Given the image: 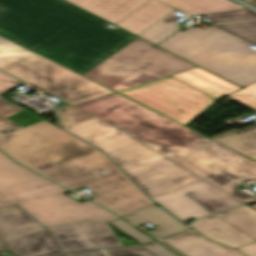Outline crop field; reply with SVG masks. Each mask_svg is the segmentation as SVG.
I'll use <instances>...</instances> for the list:
<instances>
[{
  "label": "crop field",
  "mask_w": 256,
  "mask_h": 256,
  "mask_svg": "<svg viewBox=\"0 0 256 256\" xmlns=\"http://www.w3.org/2000/svg\"><path fill=\"white\" fill-rule=\"evenodd\" d=\"M5 249H7L5 246H4V244L0 241V250H5Z\"/></svg>",
  "instance_id": "obj_37"
},
{
  "label": "crop field",
  "mask_w": 256,
  "mask_h": 256,
  "mask_svg": "<svg viewBox=\"0 0 256 256\" xmlns=\"http://www.w3.org/2000/svg\"><path fill=\"white\" fill-rule=\"evenodd\" d=\"M0 70L72 105L113 93L1 36Z\"/></svg>",
  "instance_id": "obj_7"
},
{
  "label": "crop field",
  "mask_w": 256,
  "mask_h": 256,
  "mask_svg": "<svg viewBox=\"0 0 256 256\" xmlns=\"http://www.w3.org/2000/svg\"><path fill=\"white\" fill-rule=\"evenodd\" d=\"M178 10L172 11L170 14L165 16L163 19L155 23L153 26L141 33L140 37L154 43L159 44L161 41L166 39L168 36L180 29L178 23L174 22L180 16L174 14Z\"/></svg>",
  "instance_id": "obj_22"
},
{
  "label": "crop field",
  "mask_w": 256,
  "mask_h": 256,
  "mask_svg": "<svg viewBox=\"0 0 256 256\" xmlns=\"http://www.w3.org/2000/svg\"><path fill=\"white\" fill-rule=\"evenodd\" d=\"M108 223L112 224L113 226H115L119 230L123 231L130 237L134 238L141 244L155 241L153 238L149 237L148 235H146L145 233H143L142 231L135 228L134 226H132L131 224H129L128 222L124 221L121 218L110 221Z\"/></svg>",
  "instance_id": "obj_28"
},
{
  "label": "crop field",
  "mask_w": 256,
  "mask_h": 256,
  "mask_svg": "<svg viewBox=\"0 0 256 256\" xmlns=\"http://www.w3.org/2000/svg\"><path fill=\"white\" fill-rule=\"evenodd\" d=\"M112 24L148 0H65Z\"/></svg>",
  "instance_id": "obj_17"
},
{
  "label": "crop field",
  "mask_w": 256,
  "mask_h": 256,
  "mask_svg": "<svg viewBox=\"0 0 256 256\" xmlns=\"http://www.w3.org/2000/svg\"><path fill=\"white\" fill-rule=\"evenodd\" d=\"M158 46L242 87L256 82V50L212 26L179 31Z\"/></svg>",
  "instance_id": "obj_6"
},
{
  "label": "crop field",
  "mask_w": 256,
  "mask_h": 256,
  "mask_svg": "<svg viewBox=\"0 0 256 256\" xmlns=\"http://www.w3.org/2000/svg\"><path fill=\"white\" fill-rule=\"evenodd\" d=\"M48 230L65 253L123 246L107 222L80 221Z\"/></svg>",
  "instance_id": "obj_13"
},
{
  "label": "crop field",
  "mask_w": 256,
  "mask_h": 256,
  "mask_svg": "<svg viewBox=\"0 0 256 256\" xmlns=\"http://www.w3.org/2000/svg\"><path fill=\"white\" fill-rule=\"evenodd\" d=\"M178 10L190 15L210 14L238 9L245 7L231 0H159Z\"/></svg>",
  "instance_id": "obj_20"
},
{
  "label": "crop field",
  "mask_w": 256,
  "mask_h": 256,
  "mask_svg": "<svg viewBox=\"0 0 256 256\" xmlns=\"http://www.w3.org/2000/svg\"><path fill=\"white\" fill-rule=\"evenodd\" d=\"M189 192L194 194V199L201 202L213 213L244 204L205 180L158 196L153 200L184 222L210 214L185 195Z\"/></svg>",
  "instance_id": "obj_12"
},
{
  "label": "crop field",
  "mask_w": 256,
  "mask_h": 256,
  "mask_svg": "<svg viewBox=\"0 0 256 256\" xmlns=\"http://www.w3.org/2000/svg\"><path fill=\"white\" fill-rule=\"evenodd\" d=\"M252 207L256 209V205H255V206H252Z\"/></svg>",
  "instance_id": "obj_38"
},
{
  "label": "crop field",
  "mask_w": 256,
  "mask_h": 256,
  "mask_svg": "<svg viewBox=\"0 0 256 256\" xmlns=\"http://www.w3.org/2000/svg\"><path fill=\"white\" fill-rule=\"evenodd\" d=\"M173 9L174 8H171L156 0H151L115 25L138 35L170 13Z\"/></svg>",
  "instance_id": "obj_19"
},
{
  "label": "crop field",
  "mask_w": 256,
  "mask_h": 256,
  "mask_svg": "<svg viewBox=\"0 0 256 256\" xmlns=\"http://www.w3.org/2000/svg\"><path fill=\"white\" fill-rule=\"evenodd\" d=\"M215 26L256 45V21L220 24Z\"/></svg>",
  "instance_id": "obj_26"
},
{
  "label": "crop field",
  "mask_w": 256,
  "mask_h": 256,
  "mask_svg": "<svg viewBox=\"0 0 256 256\" xmlns=\"http://www.w3.org/2000/svg\"><path fill=\"white\" fill-rule=\"evenodd\" d=\"M159 242H160L161 244H163L164 246H166L167 248H169L170 250H172V251H174L175 253H177L178 255L183 256V255H181L179 252H177L176 250H174L173 248L169 247L168 245L162 243L161 241H159Z\"/></svg>",
  "instance_id": "obj_36"
},
{
  "label": "crop field",
  "mask_w": 256,
  "mask_h": 256,
  "mask_svg": "<svg viewBox=\"0 0 256 256\" xmlns=\"http://www.w3.org/2000/svg\"><path fill=\"white\" fill-rule=\"evenodd\" d=\"M67 189L17 165L0 151V207L17 202L46 227L80 220L110 221L118 216L87 201L76 202Z\"/></svg>",
  "instance_id": "obj_5"
},
{
  "label": "crop field",
  "mask_w": 256,
  "mask_h": 256,
  "mask_svg": "<svg viewBox=\"0 0 256 256\" xmlns=\"http://www.w3.org/2000/svg\"><path fill=\"white\" fill-rule=\"evenodd\" d=\"M0 148L20 163L122 215L153 204L99 150L45 122L3 137Z\"/></svg>",
  "instance_id": "obj_1"
},
{
  "label": "crop field",
  "mask_w": 256,
  "mask_h": 256,
  "mask_svg": "<svg viewBox=\"0 0 256 256\" xmlns=\"http://www.w3.org/2000/svg\"><path fill=\"white\" fill-rule=\"evenodd\" d=\"M20 84H22V82L0 72V96Z\"/></svg>",
  "instance_id": "obj_32"
},
{
  "label": "crop field",
  "mask_w": 256,
  "mask_h": 256,
  "mask_svg": "<svg viewBox=\"0 0 256 256\" xmlns=\"http://www.w3.org/2000/svg\"><path fill=\"white\" fill-rule=\"evenodd\" d=\"M119 93L185 126L219 101L171 76Z\"/></svg>",
  "instance_id": "obj_9"
},
{
  "label": "crop field",
  "mask_w": 256,
  "mask_h": 256,
  "mask_svg": "<svg viewBox=\"0 0 256 256\" xmlns=\"http://www.w3.org/2000/svg\"><path fill=\"white\" fill-rule=\"evenodd\" d=\"M211 139L256 160V126L242 131L233 129Z\"/></svg>",
  "instance_id": "obj_21"
},
{
  "label": "crop field",
  "mask_w": 256,
  "mask_h": 256,
  "mask_svg": "<svg viewBox=\"0 0 256 256\" xmlns=\"http://www.w3.org/2000/svg\"><path fill=\"white\" fill-rule=\"evenodd\" d=\"M0 236L17 256L64 253L47 228L17 203L0 208Z\"/></svg>",
  "instance_id": "obj_11"
},
{
  "label": "crop field",
  "mask_w": 256,
  "mask_h": 256,
  "mask_svg": "<svg viewBox=\"0 0 256 256\" xmlns=\"http://www.w3.org/2000/svg\"><path fill=\"white\" fill-rule=\"evenodd\" d=\"M192 228L210 240H214L234 248L256 242L253 238L214 215L195 222Z\"/></svg>",
  "instance_id": "obj_15"
},
{
  "label": "crop field",
  "mask_w": 256,
  "mask_h": 256,
  "mask_svg": "<svg viewBox=\"0 0 256 256\" xmlns=\"http://www.w3.org/2000/svg\"><path fill=\"white\" fill-rule=\"evenodd\" d=\"M194 67L139 38L84 76L121 91Z\"/></svg>",
  "instance_id": "obj_8"
},
{
  "label": "crop field",
  "mask_w": 256,
  "mask_h": 256,
  "mask_svg": "<svg viewBox=\"0 0 256 256\" xmlns=\"http://www.w3.org/2000/svg\"><path fill=\"white\" fill-rule=\"evenodd\" d=\"M62 0H31L0 21V34L82 75L137 36Z\"/></svg>",
  "instance_id": "obj_2"
},
{
  "label": "crop field",
  "mask_w": 256,
  "mask_h": 256,
  "mask_svg": "<svg viewBox=\"0 0 256 256\" xmlns=\"http://www.w3.org/2000/svg\"><path fill=\"white\" fill-rule=\"evenodd\" d=\"M125 216L139 225L147 222L153 225H158L159 229L150 232L160 239L187 229V227H185L182 223L171 217L161 208L154 205Z\"/></svg>",
  "instance_id": "obj_18"
},
{
  "label": "crop field",
  "mask_w": 256,
  "mask_h": 256,
  "mask_svg": "<svg viewBox=\"0 0 256 256\" xmlns=\"http://www.w3.org/2000/svg\"><path fill=\"white\" fill-rule=\"evenodd\" d=\"M206 19L210 20L211 23L256 19V13L249 9H245V10L210 14Z\"/></svg>",
  "instance_id": "obj_27"
},
{
  "label": "crop field",
  "mask_w": 256,
  "mask_h": 256,
  "mask_svg": "<svg viewBox=\"0 0 256 256\" xmlns=\"http://www.w3.org/2000/svg\"><path fill=\"white\" fill-rule=\"evenodd\" d=\"M164 241L187 256H245L233 248L209 241L194 230Z\"/></svg>",
  "instance_id": "obj_14"
},
{
  "label": "crop field",
  "mask_w": 256,
  "mask_h": 256,
  "mask_svg": "<svg viewBox=\"0 0 256 256\" xmlns=\"http://www.w3.org/2000/svg\"><path fill=\"white\" fill-rule=\"evenodd\" d=\"M122 131L245 203L256 199L236 188L256 179V162L209 139L178 144L136 122Z\"/></svg>",
  "instance_id": "obj_4"
},
{
  "label": "crop field",
  "mask_w": 256,
  "mask_h": 256,
  "mask_svg": "<svg viewBox=\"0 0 256 256\" xmlns=\"http://www.w3.org/2000/svg\"><path fill=\"white\" fill-rule=\"evenodd\" d=\"M238 249L247 256H256V243Z\"/></svg>",
  "instance_id": "obj_33"
},
{
  "label": "crop field",
  "mask_w": 256,
  "mask_h": 256,
  "mask_svg": "<svg viewBox=\"0 0 256 256\" xmlns=\"http://www.w3.org/2000/svg\"><path fill=\"white\" fill-rule=\"evenodd\" d=\"M8 119L23 128L28 127L33 124H36V123H39L41 121H44L43 119L37 117L36 115H34L26 110L8 118Z\"/></svg>",
  "instance_id": "obj_30"
},
{
  "label": "crop field",
  "mask_w": 256,
  "mask_h": 256,
  "mask_svg": "<svg viewBox=\"0 0 256 256\" xmlns=\"http://www.w3.org/2000/svg\"><path fill=\"white\" fill-rule=\"evenodd\" d=\"M22 110V107L0 97V136L22 129L6 119Z\"/></svg>",
  "instance_id": "obj_25"
},
{
  "label": "crop field",
  "mask_w": 256,
  "mask_h": 256,
  "mask_svg": "<svg viewBox=\"0 0 256 256\" xmlns=\"http://www.w3.org/2000/svg\"><path fill=\"white\" fill-rule=\"evenodd\" d=\"M108 256H177L157 242L142 246L105 250Z\"/></svg>",
  "instance_id": "obj_24"
},
{
  "label": "crop field",
  "mask_w": 256,
  "mask_h": 256,
  "mask_svg": "<svg viewBox=\"0 0 256 256\" xmlns=\"http://www.w3.org/2000/svg\"><path fill=\"white\" fill-rule=\"evenodd\" d=\"M172 76L216 99L242 89L200 67Z\"/></svg>",
  "instance_id": "obj_16"
},
{
  "label": "crop field",
  "mask_w": 256,
  "mask_h": 256,
  "mask_svg": "<svg viewBox=\"0 0 256 256\" xmlns=\"http://www.w3.org/2000/svg\"><path fill=\"white\" fill-rule=\"evenodd\" d=\"M229 96L256 110V83Z\"/></svg>",
  "instance_id": "obj_29"
},
{
  "label": "crop field",
  "mask_w": 256,
  "mask_h": 256,
  "mask_svg": "<svg viewBox=\"0 0 256 256\" xmlns=\"http://www.w3.org/2000/svg\"><path fill=\"white\" fill-rule=\"evenodd\" d=\"M220 216L236 227L242 229L256 238V211L245 206L230 211L222 212Z\"/></svg>",
  "instance_id": "obj_23"
},
{
  "label": "crop field",
  "mask_w": 256,
  "mask_h": 256,
  "mask_svg": "<svg viewBox=\"0 0 256 256\" xmlns=\"http://www.w3.org/2000/svg\"><path fill=\"white\" fill-rule=\"evenodd\" d=\"M121 129L136 121L182 144L206 138L119 94L75 106Z\"/></svg>",
  "instance_id": "obj_10"
},
{
  "label": "crop field",
  "mask_w": 256,
  "mask_h": 256,
  "mask_svg": "<svg viewBox=\"0 0 256 256\" xmlns=\"http://www.w3.org/2000/svg\"><path fill=\"white\" fill-rule=\"evenodd\" d=\"M30 0H0V20Z\"/></svg>",
  "instance_id": "obj_31"
},
{
  "label": "crop field",
  "mask_w": 256,
  "mask_h": 256,
  "mask_svg": "<svg viewBox=\"0 0 256 256\" xmlns=\"http://www.w3.org/2000/svg\"><path fill=\"white\" fill-rule=\"evenodd\" d=\"M68 256H105L102 251H92L83 253L68 254Z\"/></svg>",
  "instance_id": "obj_34"
},
{
  "label": "crop field",
  "mask_w": 256,
  "mask_h": 256,
  "mask_svg": "<svg viewBox=\"0 0 256 256\" xmlns=\"http://www.w3.org/2000/svg\"><path fill=\"white\" fill-rule=\"evenodd\" d=\"M249 4H251L252 6L256 7V0H243Z\"/></svg>",
  "instance_id": "obj_35"
},
{
  "label": "crop field",
  "mask_w": 256,
  "mask_h": 256,
  "mask_svg": "<svg viewBox=\"0 0 256 256\" xmlns=\"http://www.w3.org/2000/svg\"><path fill=\"white\" fill-rule=\"evenodd\" d=\"M66 256V255H65Z\"/></svg>",
  "instance_id": "obj_39"
},
{
  "label": "crop field",
  "mask_w": 256,
  "mask_h": 256,
  "mask_svg": "<svg viewBox=\"0 0 256 256\" xmlns=\"http://www.w3.org/2000/svg\"><path fill=\"white\" fill-rule=\"evenodd\" d=\"M56 111L65 130L103 149L150 198L202 180L149 146L71 105Z\"/></svg>",
  "instance_id": "obj_3"
}]
</instances>
